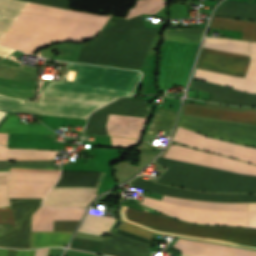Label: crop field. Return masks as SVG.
Returning <instances> with one entry per match:
<instances>
[{
    "mask_svg": "<svg viewBox=\"0 0 256 256\" xmlns=\"http://www.w3.org/2000/svg\"><path fill=\"white\" fill-rule=\"evenodd\" d=\"M77 70L75 82L50 81L45 87L109 96L132 95L141 73L131 70L68 63ZM43 88L39 103L24 102L0 94V109L15 112L87 118L88 115L117 97Z\"/></svg>",
    "mask_w": 256,
    "mask_h": 256,
    "instance_id": "obj_1",
    "label": "crop field"
},
{
    "mask_svg": "<svg viewBox=\"0 0 256 256\" xmlns=\"http://www.w3.org/2000/svg\"><path fill=\"white\" fill-rule=\"evenodd\" d=\"M28 2L18 0H0V38L28 5ZM29 7L64 13L68 15L106 22L109 17L96 16L87 13L67 11L30 3ZM27 7L10 27L11 29L66 39L84 41L103 27V22L68 16L64 14ZM9 29L0 39V45L12 47L21 51L33 53L38 48L50 43L64 41L61 39L16 31Z\"/></svg>",
    "mask_w": 256,
    "mask_h": 256,
    "instance_id": "obj_2",
    "label": "crop field"
},
{
    "mask_svg": "<svg viewBox=\"0 0 256 256\" xmlns=\"http://www.w3.org/2000/svg\"><path fill=\"white\" fill-rule=\"evenodd\" d=\"M249 62L250 57L248 56L204 48L197 67L244 77ZM215 72L197 68L194 78L232 87L244 92L256 93V80ZM189 88L212 93L208 100L211 102L256 107V94L244 93L195 80L192 81Z\"/></svg>",
    "mask_w": 256,
    "mask_h": 256,
    "instance_id": "obj_3",
    "label": "crop field"
},
{
    "mask_svg": "<svg viewBox=\"0 0 256 256\" xmlns=\"http://www.w3.org/2000/svg\"><path fill=\"white\" fill-rule=\"evenodd\" d=\"M121 215L123 220L157 233L256 249V230L193 225L125 206Z\"/></svg>",
    "mask_w": 256,
    "mask_h": 256,
    "instance_id": "obj_4",
    "label": "crop field"
},
{
    "mask_svg": "<svg viewBox=\"0 0 256 256\" xmlns=\"http://www.w3.org/2000/svg\"><path fill=\"white\" fill-rule=\"evenodd\" d=\"M163 200L178 203L185 206L220 211H244L247 212V203H221L198 200H185L164 196ZM142 204L151 206L172 217L183 219L188 207L171 204L145 197ZM190 208L183 220L196 223L217 225H238L247 227V213L243 212H219Z\"/></svg>",
    "mask_w": 256,
    "mask_h": 256,
    "instance_id": "obj_5",
    "label": "crop field"
},
{
    "mask_svg": "<svg viewBox=\"0 0 256 256\" xmlns=\"http://www.w3.org/2000/svg\"><path fill=\"white\" fill-rule=\"evenodd\" d=\"M178 125L198 132L213 135L221 139L256 146V127L183 116L181 117Z\"/></svg>",
    "mask_w": 256,
    "mask_h": 256,
    "instance_id": "obj_6",
    "label": "crop field"
},
{
    "mask_svg": "<svg viewBox=\"0 0 256 256\" xmlns=\"http://www.w3.org/2000/svg\"><path fill=\"white\" fill-rule=\"evenodd\" d=\"M180 115L256 126L254 108L228 107L208 102L205 105L185 102Z\"/></svg>",
    "mask_w": 256,
    "mask_h": 256,
    "instance_id": "obj_7",
    "label": "crop field"
},
{
    "mask_svg": "<svg viewBox=\"0 0 256 256\" xmlns=\"http://www.w3.org/2000/svg\"><path fill=\"white\" fill-rule=\"evenodd\" d=\"M167 158L229 170L239 174L256 175V166L223 156L175 145L170 147Z\"/></svg>",
    "mask_w": 256,
    "mask_h": 256,
    "instance_id": "obj_8",
    "label": "crop field"
},
{
    "mask_svg": "<svg viewBox=\"0 0 256 256\" xmlns=\"http://www.w3.org/2000/svg\"><path fill=\"white\" fill-rule=\"evenodd\" d=\"M173 139L195 148L256 163V149L253 148L208 138L180 127Z\"/></svg>",
    "mask_w": 256,
    "mask_h": 256,
    "instance_id": "obj_9",
    "label": "crop field"
},
{
    "mask_svg": "<svg viewBox=\"0 0 256 256\" xmlns=\"http://www.w3.org/2000/svg\"><path fill=\"white\" fill-rule=\"evenodd\" d=\"M104 172L100 173V177L94 191L95 187L86 186H66V185H56L54 189L63 190H83V191H94L93 192H83V191H63V190H52L49 192L48 196L43 201V206L53 207V208H64V207H86L91 200L96 196L92 195L96 193L99 186L100 180Z\"/></svg>",
    "mask_w": 256,
    "mask_h": 256,
    "instance_id": "obj_10",
    "label": "crop field"
},
{
    "mask_svg": "<svg viewBox=\"0 0 256 256\" xmlns=\"http://www.w3.org/2000/svg\"><path fill=\"white\" fill-rule=\"evenodd\" d=\"M175 247L194 256H256V251L179 238ZM182 256H189L184 255Z\"/></svg>",
    "mask_w": 256,
    "mask_h": 256,
    "instance_id": "obj_11",
    "label": "crop field"
},
{
    "mask_svg": "<svg viewBox=\"0 0 256 256\" xmlns=\"http://www.w3.org/2000/svg\"><path fill=\"white\" fill-rule=\"evenodd\" d=\"M98 253L110 256H149L150 245L116 233L114 237L104 238Z\"/></svg>",
    "mask_w": 256,
    "mask_h": 256,
    "instance_id": "obj_12",
    "label": "crop field"
},
{
    "mask_svg": "<svg viewBox=\"0 0 256 256\" xmlns=\"http://www.w3.org/2000/svg\"><path fill=\"white\" fill-rule=\"evenodd\" d=\"M83 209H56L55 220H80ZM55 209L39 207L32 215V231H53Z\"/></svg>",
    "mask_w": 256,
    "mask_h": 256,
    "instance_id": "obj_13",
    "label": "crop field"
},
{
    "mask_svg": "<svg viewBox=\"0 0 256 256\" xmlns=\"http://www.w3.org/2000/svg\"><path fill=\"white\" fill-rule=\"evenodd\" d=\"M146 118L109 115L107 132L110 136L138 138Z\"/></svg>",
    "mask_w": 256,
    "mask_h": 256,
    "instance_id": "obj_14",
    "label": "crop field"
},
{
    "mask_svg": "<svg viewBox=\"0 0 256 256\" xmlns=\"http://www.w3.org/2000/svg\"><path fill=\"white\" fill-rule=\"evenodd\" d=\"M58 151L9 149L0 145V160H53Z\"/></svg>",
    "mask_w": 256,
    "mask_h": 256,
    "instance_id": "obj_15",
    "label": "crop field"
},
{
    "mask_svg": "<svg viewBox=\"0 0 256 256\" xmlns=\"http://www.w3.org/2000/svg\"><path fill=\"white\" fill-rule=\"evenodd\" d=\"M0 247L31 248V217L17 230L1 237Z\"/></svg>",
    "mask_w": 256,
    "mask_h": 256,
    "instance_id": "obj_16",
    "label": "crop field"
},
{
    "mask_svg": "<svg viewBox=\"0 0 256 256\" xmlns=\"http://www.w3.org/2000/svg\"><path fill=\"white\" fill-rule=\"evenodd\" d=\"M210 27L243 31L241 39L244 40L254 41L256 36V22L214 16Z\"/></svg>",
    "mask_w": 256,
    "mask_h": 256,
    "instance_id": "obj_17",
    "label": "crop field"
},
{
    "mask_svg": "<svg viewBox=\"0 0 256 256\" xmlns=\"http://www.w3.org/2000/svg\"><path fill=\"white\" fill-rule=\"evenodd\" d=\"M216 15L256 20V5L227 0L224 2Z\"/></svg>",
    "mask_w": 256,
    "mask_h": 256,
    "instance_id": "obj_18",
    "label": "crop field"
},
{
    "mask_svg": "<svg viewBox=\"0 0 256 256\" xmlns=\"http://www.w3.org/2000/svg\"><path fill=\"white\" fill-rule=\"evenodd\" d=\"M16 227L29 218L40 206L42 199L9 198Z\"/></svg>",
    "mask_w": 256,
    "mask_h": 256,
    "instance_id": "obj_19",
    "label": "crop field"
},
{
    "mask_svg": "<svg viewBox=\"0 0 256 256\" xmlns=\"http://www.w3.org/2000/svg\"><path fill=\"white\" fill-rule=\"evenodd\" d=\"M73 232H32V248L65 247Z\"/></svg>",
    "mask_w": 256,
    "mask_h": 256,
    "instance_id": "obj_20",
    "label": "crop field"
},
{
    "mask_svg": "<svg viewBox=\"0 0 256 256\" xmlns=\"http://www.w3.org/2000/svg\"><path fill=\"white\" fill-rule=\"evenodd\" d=\"M114 221V218L88 213L78 231L96 235H104L108 232Z\"/></svg>",
    "mask_w": 256,
    "mask_h": 256,
    "instance_id": "obj_21",
    "label": "crop field"
},
{
    "mask_svg": "<svg viewBox=\"0 0 256 256\" xmlns=\"http://www.w3.org/2000/svg\"><path fill=\"white\" fill-rule=\"evenodd\" d=\"M203 47L250 56L249 42L245 41L206 38Z\"/></svg>",
    "mask_w": 256,
    "mask_h": 256,
    "instance_id": "obj_22",
    "label": "crop field"
},
{
    "mask_svg": "<svg viewBox=\"0 0 256 256\" xmlns=\"http://www.w3.org/2000/svg\"><path fill=\"white\" fill-rule=\"evenodd\" d=\"M55 182L10 180L8 193L46 194Z\"/></svg>",
    "mask_w": 256,
    "mask_h": 256,
    "instance_id": "obj_23",
    "label": "crop field"
},
{
    "mask_svg": "<svg viewBox=\"0 0 256 256\" xmlns=\"http://www.w3.org/2000/svg\"><path fill=\"white\" fill-rule=\"evenodd\" d=\"M205 28L166 29L164 39L200 43Z\"/></svg>",
    "mask_w": 256,
    "mask_h": 256,
    "instance_id": "obj_24",
    "label": "crop field"
},
{
    "mask_svg": "<svg viewBox=\"0 0 256 256\" xmlns=\"http://www.w3.org/2000/svg\"><path fill=\"white\" fill-rule=\"evenodd\" d=\"M10 167L59 170V166H52V161H0V171H10Z\"/></svg>",
    "mask_w": 256,
    "mask_h": 256,
    "instance_id": "obj_25",
    "label": "crop field"
},
{
    "mask_svg": "<svg viewBox=\"0 0 256 256\" xmlns=\"http://www.w3.org/2000/svg\"><path fill=\"white\" fill-rule=\"evenodd\" d=\"M175 114L176 113L169 110L158 109L157 115L148 133L155 134L157 129H165L169 131L174 122Z\"/></svg>",
    "mask_w": 256,
    "mask_h": 256,
    "instance_id": "obj_26",
    "label": "crop field"
},
{
    "mask_svg": "<svg viewBox=\"0 0 256 256\" xmlns=\"http://www.w3.org/2000/svg\"><path fill=\"white\" fill-rule=\"evenodd\" d=\"M60 174L11 172L10 179L57 181Z\"/></svg>",
    "mask_w": 256,
    "mask_h": 256,
    "instance_id": "obj_27",
    "label": "crop field"
},
{
    "mask_svg": "<svg viewBox=\"0 0 256 256\" xmlns=\"http://www.w3.org/2000/svg\"><path fill=\"white\" fill-rule=\"evenodd\" d=\"M10 172H0V206L10 205L7 190Z\"/></svg>",
    "mask_w": 256,
    "mask_h": 256,
    "instance_id": "obj_28",
    "label": "crop field"
},
{
    "mask_svg": "<svg viewBox=\"0 0 256 256\" xmlns=\"http://www.w3.org/2000/svg\"><path fill=\"white\" fill-rule=\"evenodd\" d=\"M119 229H122V230H125V231H128V232H131V233H135V234H138V235H141V236H144V237H147V238H152V232H149L147 230H144V229H141V228H138L136 226H133V225H130L128 223H125L123 222L121 224V226L119 227Z\"/></svg>",
    "mask_w": 256,
    "mask_h": 256,
    "instance_id": "obj_29",
    "label": "crop field"
},
{
    "mask_svg": "<svg viewBox=\"0 0 256 256\" xmlns=\"http://www.w3.org/2000/svg\"><path fill=\"white\" fill-rule=\"evenodd\" d=\"M245 77L256 79V43L253 42L251 46V62Z\"/></svg>",
    "mask_w": 256,
    "mask_h": 256,
    "instance_id": "obj_30",
    "label": "crop field"
},
{
    "mask_svg": "<svg viewBox=\"0 0 256 256\" xmlns=\"http://www.w3.org/2000/svg\"><path fill=\"white\" fill-rule=\"evenodd\" d=\"M78 221H54V231H74Z\"/></svg>",
    "mask_w": 256,
    "mask_h": 256,
    "instance_id": "obj_31",
    "label": "crop field"
},
{
    "mask_svg": "<svg viewBox=\"0 0 256 256\" xmlns=\"http://www.w3.org/2000/svg\"><path fill=\"white\" fill-rule=\"evenodd\" d=\"M68 9L69 0H25Z\"/></svg>",
    "mask_w": 256,
    "mask_h": 256,
    "instance_id": "obj_32",
    "label": "crop field"
},
{
    "mask_svg": "<svg viewBox=\"0 0 256 256\" xmlns=\"http://www.w3.org/2000/svg\"><path fill=\"white\" fill-rule=\"evenodd\" d=\"M248 227L256 228V203H248Z\"/></svg>",
    "mask_w": 256,
    "mask_h": 256,
    "instance_id": "obj_33",
    "label": "crop field"
},
{
    "mask_svg": "<svg viewBox=\"0 0 256 256\" xmlns=\"http://www.w3.org/2000/svg\"><path fill=\"white\" fill-rule=\"evenodd\" d=\"M111 141H112V145L129 147L136 144L138 140H133L129 138L111 137Z\"/></svg>",
    "mask_w": 256,
    "mask_h": 256,
    "instance_id": "obj_34",
    "label": "crop field"
},
{
    "mask_svg": "<svg viewBox=\"0 0 256 256\" xmlns=\"http://www.w3.org/2000/svg\"><path fill=\"white\" fill-rule=\"evenodd\" d=\"M0 223H14L10 207L0 208Z\"/></svg>",
    "mask_w": 256,
    "mask_h": 256,
    "instance_id": "obj_35",
    "label": "crop field"
},
{
    "mask_svg": "<svg viewBox=\"0 0 256 256\" xmlns=\"http://www.w3.org/2000/svg\"><path fill=\"white\" fill-rule=\"evenodd\" d=\"M15 228L14 224H0V236Z\"/></svg>",
    "mask_w": 256,
    "mask_h": 256,
    "instance_id": "obj_36",
    "label": "crop field"
},
{
    "mask_svg": "<svg viewBox=\"0 0 256 256\" xmlns=\"http://www.w3.org/2000/svg\"><path fill=\"white\" fill-rule=\"evenodd\" d=\"M9 197H26V198H43L44 195H35V194H8Z\"/></svg>",
    "mask_w": 256,
    "mask_h": 256,
    "instance_id": "obj_37",
    "label": "crop field"
},
{
    "mask_svg": "<svg viewBox=\"0 0 256 256\" xmlns=\"http://www.w3.org/2000/svg\"><path fill=\"white\" fill-rule=\"evenodd\" d=\"M35 250H18L16 256H34Z\"/></svg>",
    "mask_w": 256,
    "mask_h": 256,
    "instance_id": "obj_38",
    "label": "crop field"
},
{
    "mask_svg": "<svg viewBox=\"0 0 256 256\" xmlns=\"http://www.w3.org/2000/svg\"><path fill=\"white\" fill-rule=\"evenodd\" d=\"M153 149H154V146H150L149 144L145 143L143 148H142V150H141V152L155 155L156 152L153 151Z\"/></svg>",
    "mask_w": 256,
    "mask_h": 256,
    "instance_id": "obj_39",
    "label": "crop field"
},
{
    "mask_svg": "<svg viewBox=\"0 0 256 256\" xmlns=\"http://www.w3.org/2000/svg\"><path fill=\"white\" fill-rule=\"evenodd\" d=\"M12 51V49L0 46V55L6 57L7 55H9ZM13 53V52H12ZM8 57V56H7Z\"/></svg>",
    "mask_w": 256,
    "mask_h": 256,
    "instance_id": "obj_40",
    "label": "crop field"
},
{
    "mask_svg": "<svg viewBox=\"0 0 256 256\" xmlns=\"http://www.w3.org/2000/svg\"><path fill=\"white\" fill-rule=\"evenodd\" d=\"M48 249L49 248L36 250L35 256H47Z\"/></svg>",
    "mask_w": 256,
    "mask_h": 256,
    "instance_id": "obj_41",
    "label": "crop field"
},
{
    "mask_svg": "<svg viewBox=\"0 0 256 256\" xmlns=\"http://www.w3.org/2000/svg\"><path fill=\"white\" fill-rule=\"evenodd\" d=\"M7 136L8 134L0 133V142L7 145Z\"/></svg>",
    "mask_w": 256,
    "mask_h": 256,
    "instance_id": "obj_42",
    "label": "crop field"
},
{
    "mask_svg": "<svg viewBox=\"0 0 256 256\" xmlns=\"http://www.w3.org/2000/svg\"><path fill=\"white\" fill-rule=\"evenodd\" d=\"M8 249H0V256H6Z\"/></svg>",
    "mask_w": 256,
    "mask_h": 256,
    "instance_id": "obj_43",
    "label": "crop field"
},
{
    "mask_svg": "<svg viewBox=\"0 0 256 256\" xmlns=\"http://www.w3.org/2000/svg\"><path fill=\"white\" fill-rule=\"evenodd\" d=\"M16 250L9 249L7 256H15Z\"/></svg>",
    "mask_w": 256,
    "mask_h": 256,
    "instance_id": "obj_44",
    "label": "crop field"
},
{
    "mask_svg": "<svg viewBox=\"0 0 256 256\" xmlns=\"http://www.w3.org/2000/svg\"><path fill=\"white\" fill-rule=\"evenodd\" d=\"M6 114H7L6 112L0 111V121H1V119H2Z\"/></svg>",
    "mask_w": 256,
    "mask_h": 256,
    "instance_id": "obj_45",
    "label": "crop field"
},
{
    "mask_svg": "<svg viewBox=\"0 0 256 256\" xmlns=\"http://www.w3.org/2000/svg\"><path fill=\"white\" fill-rule=\"evenodd\" d=\"M2 60H4V58H1V57H0V62H1Z\"/></svg>",
    "mask_w": 256,
    "mask_h": 256,
    "instance_id": "obj_46",
    "label": "crop field"
}]
</instances>
